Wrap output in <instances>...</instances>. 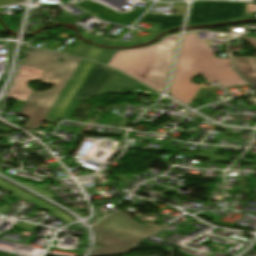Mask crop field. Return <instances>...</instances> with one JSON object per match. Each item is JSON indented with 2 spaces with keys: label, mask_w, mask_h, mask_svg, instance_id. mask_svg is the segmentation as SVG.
I'll use <instances>...</instances> for the list:
<instances>
[{
  "label": "crop field",
  "mask_w": 256,
  "mask_h": 256,
  "mask_svg": "<svg viewBox=\"0 0 256 256\" xmlns=\"http://www.w3.org/2000/svg\"><path fill=\"white\" fill-rule=\"evenodd\" d=\"M102 51L103 49L90 47L84 58L97 61Z\"/></svg>",
  "instance_id": "13"
},
{
  "label": "crop field",
  "mask_w": 256,
  "mask_h": 256,
  "mask_svg": "<svg viewBox=\"0 0 256 256\" xmlns=\"http://www.w3.org/2000/svg\"><path fill=\"white\" fill-rule=\"evenodd\" d=\"M246 41L249 42L253 47L256 48V38H246ZM254 67L256 68V58L250 57Z\"/></svg>",
  "instance_id": "16"
},
{
  "label": "crop field",
  "mask_w": 256,
  "mask_h": 256,
  "mask_svg": "<svg viewBox=\"0 0 256 256\" xmlns=\"http://www.w3.org/2000/svg\"><path fill=\"white\" fill-rule=\"evenodd\" d=\"M55 55L56 53L52 51L32 48L22 64L46 71Z\"/></svg>",
  "instance_id": "10"
},
{
  "label": "crop field",
  "mask_w": 256,
  "mask_h": 256,
  "mask_svg": "<svg viewBox=\"0 0 256 256\" xmlns=\"http://www.w3.org/2000/svg\"><path fill=\"white\" fill-rule=\"evenodd\" d=\"M245 3L238 2H193L187 24L210 23L230 18H240L244 13Z\"/></svg>",
  "instance_id": "5"
},
{
  "label": "crop field",
  "mask_w": 256,
  "mask_h": 256,
  "mask_svg": "<svg viewBox=\"0 0 256 256\" xmlns=\"http://www.w3.org/2000/svg\"><path fill=\"white\" fill-rule=\"evenodd\" d=\"M169 224L155 225L149 228L134 221L128 213L118 211L104 218L93 227L97 233V242L89 256H102L123 253L140 240L166 228Z\"/></svg>",
  "instance_id": "2"
},
{
  "label": "crop field",
  "mask_w": 256,
  "mask_h": 256,
  "mask_svg": "<svg viewBox=\"0 0 256 256\" xmlns=\"http://www.w3.org/2000/svg\"><path fill=\"white\" fill-rule=\"evenodd\" d=\"M173 36L177 39L178 38V33L173 34Z\"/></svg>",
  "instance_id": "18"
},
{
  "label": "crop field",
  "mask_w": 256,
  "mask_h": 256,
  "mask_svg": "<svg viewBox=\"0 0 256 256\" xmlns=\"http://www.w3.org/2000/svg\"><path fill=\"white\" fill-rule=\"evenodd\" d=\"M183 16L146 14L141 21L160 24V29L171 28L181 24Z\"/></svg>",
  "instance_id": "11"
},
{
  "label": "crop field",
  "mask_w": 256,
  "mask_h": 256,
  "mask_svg": "<svg viewBox=\"0 0 256 256\" xmlns=\"http://www.w3.org/2000/svg\"><path fill=\"white\" fill-rule=\"evenodd\" d=\"M235 65L241 74L254 86L256 85V70L249 57L234 58ZM235 67V68H236Z\"/></svg>",
  "instance_id": "12"
},
{
  "label": "crop field",
  "mask_w": 256,
  "mask_h": 256,
  "mask_svg": "<svg viewBox=\"0 0 256 256\" xmlns=\"http://www.w3.org/2000/svg\"><path fill=\"white\" fill-rule=\"evenodd\" d=\"M201 73L206 82L218 80L224 88L248 85L232 70L229 58H215L206 41H199L195 33L184 35L169 93L189 106L200 88L191 80Z\"/></svg>",
  "instance_id": "1"
},
{
  "label": "crop field",
  "mask_w": 256,
  "mask_h": 256,
  "mask_svg": "<svg viewBox=\"0 0 256 256\" xmlns=\"http://www.w3.org/2000/svg\"><path fill=\"white\" fill-rule=\"evenodd\" d=\"M18 0H0V6L17 3Z\"/></svg>",
  "instance_id": "17"
},
{
  "label": "crop field",
  "mask_w": 256,
  "mask_h": 256,
  "mask_svg": "<svg viewBox=\"0 0 256 256\" xmlns=\"http://www.w3.org/2000/svg\"><path fill=\"white\" fill-rule=\"evenodd\" d=\"M44 71L21 66L9 99L26 101L33 90L27 88L30 81H39Z\"/></svg>",
  "instance_id": "9"
},
{
  "label": "crop field",
  "mask_w": 256,
  "mask_h": 256,
  "mask_svg": "<svg viewBox=\"0 0 256 256\" xmlns=\"http://www.w3.org/2000/svg\"><path fill=\"white\" fill-rule=\"evenodd\" d=\"M174 52L158 53L142 83L163 92Z\"/></svg>",
  "instance_id": "7"
},
{
  "label": "crop field",
  "mask_w": 256,
  "mask_h": 256,
  "mask_svg": "<svg viewBox=\"0 0 256 256\" xmlns=\"http://www.w3.org/2000/svg\"><path fill=\"white\" fill-rule=\"evenodd\" d=\"M113 70L95 63L75 99L85 101L91 96L100 95Z\"/></svg>",
  "instance_id": "8"
},
{
  "label": "crop field",
  "mask_w": 256,
  "mask_h": 256,
  "mask_svg": "<svg viewBox=\"0 0 256 256\" xmlns=\"http://www.w3.org/2000/svg\"><path fill=\"white\" fill-rule=\"evenodd\" d=\"M116 50H111V49H104L103 53L98 59V62L106 64L108 60L114 55Z\"/></svg>",
  "instance_id": "14"
},
{
  "label": "crop field",
  "mask_w": 256,
  "mask_h": 256,
  "mask_svg": "<svg viewBox=\"0 0 256 256\" xmlns=\"http://www.w3.org/2000/svg\"><path fill=\"white\" fill-rule=\"evenodd\" d=\"M89 46L84 45V44H79L78 47L76 48L75 52L73 55L84 57L86 51L88 50Z\"/></svg>",
  "instance_id": "15"
},
{
  "label": "crop field",
  "mask_w": 256,
  "mask_h": 256,
  "mask_svg": "<svg viewBox=\"0 0 256 256\" xmlns=\"http://www.w3.org/2000/svg\"><path fill=\"white\" fill-rule=\"evenodd\" d=\"M177 40L166 36L159 44L134 50L117 51L107 65L142 82L158 52L174 51Z\"/></svg>",
  "instance_id": "4"
},
{
  "label": "crop field",
  "mask_w": 256,
  "mask_h": 256,
  "mask_svg": "<svg viewBox=\"0 0 256 256\" xmlns=\"http://www.w3.org/2000/svg\"><path fill=\"white\" fill-rule=\"evenodd\" d=\"M94 62L83 60L80 66L77 68L74 76L68 83L65 90L62 92L59 100L53 106L48 118H61L65 110L69 106L72 99H74L85 78L93 67Z\"/></svg>",
  "instance_id": "6"
},
{
  "label": "crop field",
  "mask_w": 256,
  "mask_h": 256,
  "mask_svg": "<svg viewBox=\"0 0 256 256\" xmlns=\"http://www.w3.org/2000/svg\"><path fill=\"white\" fill-rule=\"evenodd\" d=\"M59 59H63L64 62H58ZM80 62L81 59L57 53L45 75L40 80V83H51L54 86L48 91H33L19 113L30 118L24 128L40 129Z\"/></svg>",
  "instance_id": "3"
}]
</instances>
